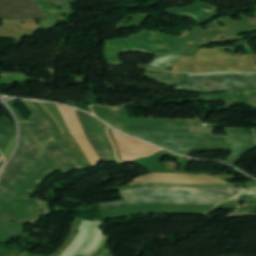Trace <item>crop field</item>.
I'll return each instance as SVG.
<instances>
[{
	"mask_svg": "<svg viewBox=\"0 0 256 256\" xmlns=\"http://www.w3.org/2000/svg\"><path fill=\"white\" fill-rule=\"evenodd\" d=\"M40 207L43 209V215L48 216L52 214V211L50 210L49 203L47 201H43L40 199H37Z\"/></svg>",
	"mask_w": 256,
	"mask_h": 256,
	"instance_id": "29",
	"label": "crop field"
},
{
	"mask_svg": "<svg viewBox=\"0 0 256 256\" xmlns=\"http://www.w3.org/2000/svg\"><path fill=\"white\" fill-rule=\"evenodd\" d=\"M75 111L77 113V116H78L80 122L83 125L85 134H86L89 142L91 143V145L97 152L98 156L100 157L101 160L108 161L104 150L102 149L98 139L96 138L95 128H94V124H93V120H92L91 116H89L85 113H82L80 111H77V110H75Z\"/></svg>",
	"mask_w": 256,
	"mask_h": 256,
	"instance_id": "16",
	"label": "crop field"
},
{
	"mask_svg": "<svg viewBox=\"0 0 256 256\" xmlns=\"http://www.w3.org/2000/svg\"><path fill=\"white\" fill-rule=\"evenodd\" d=\"M41 155L43 154L32 145L15 166L6 170L3 176L0 178V196L6 190L8 185L26 169V166L29 165L33 160L39 158Z\"/></svg>",
	"mask_w": 256,
	"mask_h": 256,
	"instance_id": "13",
	"label": "crop field"
},
{
	"mask_svg": "<svg viewBox=\"0 0 256 256\" xmlns=\"http://www.w3.org/2000/svg\"><path fill=\"white\" fill-rule=\"evenodd\" d=\"M255 132H256V129H255Z\"/></svg>",
	"mask_w": 256,
	"mask_h": 256,
	"instance_id": "35",
	"label": "crop field"
},
{
	"mask_svg": "<svg viewBox=\"0 0 256 256\" xmlns=\"http://www.w3.org/2000/svg\"><path fill=\"white\" fill-rule=\"evenodd\" d=\"M62 137L65 141V143L71 148V150L75 153V155L81 160V162L86 166V164L83 162V160L80 158V156L77 154V152L74 150V148L71 146V144L66 140L65 135L62 134ZM87 167V166H86Z\"/></svg>",
	"mask_w": 256,
	"mask_h": 256,
	"instance_id": "31",
	"label": "crop field"
},
{
	"mask_svg": "<svg viewBox=\"0 0 256 256\" xmlns=\"http://www.w3.org/2000/svg\"><path fill=\"white\" fill-rule=\"evenodd\" d=\"M115 115L114 127L125 132L127 125H193L207 126L201 121H192L185 119H149V118H128V114L124 106L111 107Z\"/></svg>",
	"mask_w": 256,
	"mask_h": 256,
	"instance_id": "8",
	"label": "crop field"
},
{
	"mask_svg": "<svg viewBox=\"0 0 256 256\" xmlns=\"http://www.w3.org/2000/svg\"><path fill=\"white\" fill-rule=\"evenodd\" d=\"M144 76L155 79L160 83H164L168 85L188 84V74L164 73V76H153V75H147V74H145Z\"/></svg>",
	"mask_w": 256,
	"mask_h": 256,
	"instance_id": "19",
	"label": "crop field"
},
{
	"mask_svg": "<svg viewBox=\"0 0 256 256\" xmlns=\"http://www.w3.org/2000/svg\"><path fill=\"white\" fill-rule=\"evenodd\" d=\"M54 3L75 0H52ZM45 20L43 13L32 0H0V20Z\"/></svg>",
	"mask_w": 256,
	"mask_h": 256,
	"instance_id": "7",
	"label": "crop field"
},
{
	"mask_svg": "<svg viewBox=\"0 0 256 256\" xmlns=\"http://www.w3.org/2000/svg\"><path fill=\"white\" fill-rule=\"evenodd\" d=\"M210 44L209 41L203 42L188 48H185L179 52L167 55V56H162L159 58H156L153 62H151L148 65H142L139 64L138 68H147V69H155V70H162L167 67L172 66L178 59H180L182 56L187 55L195 50H197L199 47L203 45Z\"/></svg>",
	"mask_w": 256,
	"mask_h": 256,
	"instance_id": "15",
	"label": "crop field"
},
{
	"mask_svg": "<svg viewBox=\"0 0 256 256\" xmlns=\"http://www.w3.org/2000/svg\"><path fill=\"white\" fill-rule=\"evenodd\" d=\"M14 142H15V136L11 139V141L5 151V154H4L5 160H7V158L9 157L12 147L14 145Z\"/></svg>",
	"mask_w": 256,
	"mask_h": 256,
	"instance_id": "30",
	"label": "crop field"
},
{
	"mask_svg": "<svg viewBox=\"0 0 256 256\" xmlns=\"http://www.w3.org/2000/svg\"><path fill=\"white\" fill-rule=\"evenodd\" d=\"M15 127L3 116L0 118V146L7 134Z\"/></svg>",
	"mask_w": 256,
	"mask_h": 256,
	"instance_id": "27",
	"label": "crop field"
},
{
	"mask_svg": "<svg viewBox=\"0 0 256 256\" xmlns=\"http://www.w3.org/2000/svg\"><path fill=\"white\" fill-rule=\"evenodd\" d=\"M211 82L214 85L206 86V83ZM176 89L193 92L256 89V73L214 72L189 74V85Z\"/></svg>",
	"mask_w": 256,
	"mask_h": 256,
	"instance_id": "5",
	"label": "crop field"
},
{
	"mask_svg": "<svg viewBox=\"0 0 256 256\" xmlns=\"http://www.w3.org/2000/svg\"><path fill=\"white\" fill-rule=\"evenodd\" d=\"M147 182H173L183 184H216L225 183L222 180L210 178L206 175H188V174H146L135 178V181L130 183L139 184Z\"/></svg>",
	"mask_w": 256,
	"mask_h": 256,
	"instance_id": "10",
	"label": "crop field"
},
{
	"mask_svg": "<svg viewBox=\"0 0 256 256\" xmlns=\"http://www.w3.org/2000/svg\"><path fill=\"white\" fill-rule=\"evenodd\" d=\"M227 134H254L253 129H226Z\"/></svg>",
	"mask_w": 256,
	"mask_h": 256,
	"instance_id": "28",
	"label": "crop field"
},
{
	"mask_svg": "<svg viewBox=\"0 0 256 256\" xmlns=\"http://www.w3.org/2000/svg\"><path fill=\"white\" fill-rule=\"evenodd\" d=\"M28 130L36 137V139L46 148V150L55 157L62 166L67 169L68 171L71 169L70 166L52 149V147L43 139L37 129L33 126V124L29 120H22L21 121Z\"/></svg>",
	"mask_w": 256,
	"mask_h": 256,
	"instance_id": "18",
	"label": "crop field"
},
{
	"mask_svg": "<svg viewBox=\"0 0 256 256\" xmlns=\"http://www.w3.org/2000/svg\"><path fill=\"white\" fill-rule=\"evenodd\" d=\"M56 106L61 112L70 133L76 139V141L78 142L84 154L92 163V165L95 166V164L99 161V158L94 149L92 148V146L90 145V143L88 142V140L86 139L83 128L79 120L77 119L75 111L64 106Z\"/></svg>",
	"mask_w": 256,
	"mask_h": 256,
	"instance_id": "9",
	"label": "crop field"
},
{
	"mask_svg": "<svg viewBox=\"0 0 256 256\" xmlns=\"http://www.w3.org/2000/svg\"><path fill=\"white\" fill-rule=\"evenodd\" d=\"M162 30L164 29H159L157 32L172 52L188 45L208 40L206 33L201 28L181 36H170V34L160 33ZM157 32L145 30L126 39L107 41L104 54L108 62L112 64H123L119 59L120 53L123 52H144L155 55L171 53Z\"/></svg>",
	"mask_w": 256,
	"mask_h": 256,
	"instance_id": "3",
	"label": "crop field"
},
{
	"mask_svg": "<svg viewBox=\"0 0 256 256\" xmlns=\"http://www.w3.org/2000/svg\"><path fill=\"white\" fill-rule=\"evenodd\" d=\"M209 5L197 0L191 6L169 8L165 11L174 15L192 17L195 20L196 24L199 25L207 22L209 19L218 15L217 9Z\"/></svg>",
	"mask_w": 256,
	"mask_h": 256,
	"instance_id": "12",
	"label": "crop field"
},
{
	"mask_svg": "<svg viewBox=\"0 0 256 256\" xmlns=\"http://www.w3.org/2000/svg\"><path fill=\"white\" fill-rule=\"evenodd\" d=\"M247 45L222 48H234ZM254 58H256V55L251 54H247L241 58L225 56L224 53H219L218 48L200 49L196 52L195 57L185 56L178 60L175 64V69L172 71L190 73L216 70L256 71V61Z\"/></svg>",
	"mask_w": 256,
	"mask_h": 256,
	"instance_id": "4",
	"label": "crop field"
},
{
	"mask_svg": "<svg viewBox=\"0 0 256 256\" xmlns=\"http://www.w3.org/2000/svg\"><path fill=\"white\" fill-rule=\"evenodd\" d=\"M113 134L119 144L121 156L124 162H129L136 158L150 155L159 150L154 146L142 143L131 137L121 135L115 131H113Z\"/></svg>",
	"mask_w": 256,
	"mask_h": 256,
	"instance_id": "11",
	"label": "crop field"
},
{
	"mask_svg": "<svg viewBox=\"0 0 256 256\" xmlns=\"http://www.w3.org/2000/svg\"><path fill=\"white\" fill-rule=\"evenodd\" d=\"M127 133L145 141L165 147L169 150H233L225 160V162L232 165H234L237 159L244 152L256 147L254 135L161 132Z\"/></svg>",
	"mask_w": 256,
	"mask_h": 256,
	"instance_id": "1",
	"label": "crop field"
},
{
	"mask_svg": "<svg viewBox=\"0 0 256 256\" xmlns=\"http://www.w3.org/2000/svg\"><path fill=\"white\" fill-rule=\"evenodd\" d=\"M20 122V121H19ZM21 133L34 145L36 146L46 157H48L58 168L61 169L62 172L66 173V171L61 164L53 158L44 147L35 139V137L25 128V126L20 122Z\"/></svg>",
	"mask_w": 256,
	"mask_h": 256,
	"instance_id": "23",
	"label": "crop field"
},
{
	"mask_svg": "<svg viewBox=\"0 0 256 256\" xmlns=\"http://www.w3.org/2000/svg\"><path fill=\"white\" fill-rule=\"evenodd\" d=\"M41 214L36 199H0V221H37Z\"/></svg>",
	"mask_w": 256,
	"mask_h": 256,
	"instance_id": "6",
	"label": "crop field"
},
{
	"mask_svg": "<svg viewBox=\"0 0 256 256\" xmlns=\"http://www.w3.org/2000/svg\"><path fill=\"white\" fill-rule=\"evenodd\" d=\"M92 118L94 120L97 138L100 140V142H101V144H102V146H103V148H104V150H105V152H106V154L108 156V159L114 161V159L112 157V154H111V152H110V150H109V148H108V146H107V144H106V142H105V140L103 138V135H102V122L98 121L94 117H92Z\"/></svg>",
	"mask_w": 256,
	"mask_h": 256,
	"instance_id": "24",
	"label": "crop field"
},
{
	"mask_svg": "<svg viewBox=\"0 0 256 256\" xmlns=\"http://www.w3.org/2000/svg\"><path fill=\"white\" fill-rule=\"evenodd\" d=\"M58 168L55 166L47 171H45L33 184L32 186L24 193L22 197L29 198L33 192L38 188V186L43 182L44 178L56 171Z\"/></svg>",
	"mask_w": 256,
	"mask_h": 256,
	"instance_id": "25",
	"label": "crop field"
},
{
	"mask_svg": "<svg viewBox=\"0 0 256 256\" xmlns=\"http://www.w3.org/2000/svg\"><path fill=\"white\" fill-rule=\"evenodd\" d=\"M141 190L140 192H137ZM241 191L235 187L179 188L139 187L123 190L125 201L100 204L102 209L143 203L218 204Z\"/></svg>",
	"mask_w": 256,
	"mask_h": 256,
	"instance_id": "2",
	"label": "crop field"
},
{
	"mask_svg": "<svg viewBox=\"0 0 256 256\" xmlns=\"http://www.w3.org/2000/svg\"><path fill=\"white\" fill-rule=\"evenodd\" d=\"M24 101V100H23ZM24 103L28 106V108L32 111V113L42 122L45 128L50 132L52 138L54 139L55 143L64 151V153L73 161V163L81 169H84L78 161L73 157V155L64 147L62 142L60 141L57 132L55 131L54 127L50 123V121L46 118L44 114H42L36 106L29 101H24Z\"/></svg>",
	"mask_w": 256,
	"mask_h": 256,
	"instance_id": "17",
	"label": "crop field"
},
{
	"mask_svg": "<svg viewBox=\"0 0 256 256\" xmlns=\"http://www.w3.org/2000/svg\"><path fill=\"white\" fill-rule=\"evenodd\" d=\"M256 199V195L240 196L238 200Z\"/></svg>",
	"mask_w": 256,
	"mask_h": 256,
	"instance_id": "33",
	"label": "crop field"
},
{
	"mask_svg": "<svg viewBox=\"0 0 256 256\" xmlns=\"http://www.w3.org/2000/svg\"><path fill=\"white\" fill-rule=\"evenodd\" d=\"M31 145L32 144L30 142H28L22 135V141H21L20 148H19L16 156L13 158L12 162L6 169H8V168L12 167L14 164H16L21 159V157L26 153V151L30 148Z\"/></svg>",
	"mask_w": 256,
	"mask_h": 256,
	"instance_id": "26",
	"label": "crop field"
},
{
	"mask_svg": "<svg viewBox=\"0 0 256 256\" xmlns=\"http://www.w3.org/2000/svg\"><path fill=\"white\" fill-rule=\"evenodd\" d=\"M44 13L47 21H54L55 16H62V11L51 0H34Z\"/></svg>",
	"mask_w": 256,
	"mask_h": 256,
	"instance_id": "20",
	"label": "crop field"
},
{
	"mask_svg": "<svg viewBox=\"0 0 256 256\" xmlns=\"http://www.w3.org/2000/svg\"><path fill=\"white\" fill-rule=\"evenodd\" d=\"M51 162L44 155L33 162L28 168L7 188L2 194L3 198H12L16 192L30 179V177L40 168Z\"/></svg>",
	"mask_w": 256,
	"mask_h": 256,
	"instance_id": "14",
	"label": "crop field"
},
{
	"mask_svg": "<svg viewBox=\"0 0 256 256\" xmlns=\"http://www.w3.org/2000/svg\"><path fill=\"white\" fill-rule=\"evenodd\" d=\"M190 126H128L127 130L189 132Z\"/></svg>",
	"mask_w": 256,
	"mask_h": 256,
	"instance_id": "22",
	"label": "crop field"
},
{
	"mask_svg": "<svg viewBox=\"0 0 256 256\" xmlns=\"http://www.w3.org/2000/svg\"><path fill=\"white\" fill-rule=\"evenodd\" d=\"M3 160V156L0 157V161Z\"/></svg>",
	"mask_w": 256,
	"mask_h": 256,
	"instance_id": "34",
	"label": "crop field"
},
{
	"mask_svg": "<svg viewBox=\"0 0 256 256\" xmlns=\"http://www.w3.org/2000/svg\"><path fill=\"white\" fill-rule=\"evenodd\" d=\"M35 127L38 129V131L41 133V135L46 139L49 144L62 156V158L72 167L76 168L75 165L71 162V160L57 147V145L53 142L50 134L47 132V130L43 127V125L36 119V117L33 115L29 118Z\"/></svg>",
	"mask_w": 256,
	"mask_h": 256,
	"instance_id": "21",
	"label": "crop field"
},
{
	"mask_svg": "<svg viewBox=\"0 0 256 256\" xmlns=\"http://www.w3.org/2000/svg\"><path fill=\"white\" fill-rule=\"evenodd\" d=\"M106 135H107V137L109 138V140H110V142H111V144H112V146H113V150H114V153H115V155H116V159H117V161H119V158H118V155H117L115 146H114V144H113V142H112V139H111V137H110V135H109V133H108V126H106Z\"/></svg>",
	"mask_w": 256,
	"mask_h": 256,
	"instance_id": "32",
	"label": "crop field"
}]
</instances>
